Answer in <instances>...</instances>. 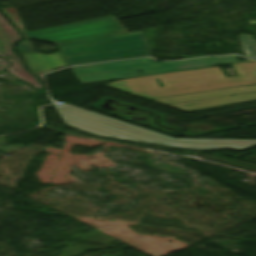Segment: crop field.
<instances>
[{
	"mask_svg": "<svg viewBox=\"0 0 256 256\" xmlns=\"http://www.w3.org/2000/svg\"><path fill=\"white\" fill-rule=\"evenodd\" d=\"M238 76L226 78L218 67L135 78L151 97H163L220 87L256 83V62L231 65ZM159 79L162 83H157ZM158 84L165 85L159 87Z\"/></svg>",
	"mask_w": 256,
	"mask_h": 256,
	"instance_id": "crop-field-1",
	"label": "crop field"
},
{
	"mask_svg": "<svg viewBox=\"0 0 256 256\" xmlns=\"http://www.w3.org/2000/svg\"><path fill=\"white\" fill-rule=\"evenodd\" d=\"M66 124L90 133L113 138L180 147L186 149L231 148L241 150L249 147L170 142L173 138L118 121L67 103L54 105Z\"/></svg>",
	"mask_w": 256,
	"mask_h": 256,
	"instance_id": "crop-field-2",
	"label": "crop field"
},
{
	"mask_svg": "<svg viewBox=\"0 0 256 256\" xmlns=\"http://www.w3.org/2000/svg\"><path fill=\"white\" fill-rule=\"evenodd\" d=\"M217 62L228 64L238 61L235 56L160 63H154L149 58H146L140 60L76 67L71 68V70L82 84H86L173 71L210 67L214 66ZM138 70H142L144 74L141 75L137 73Z\"/></svg>",
	"mask_w": 256,
	"mask_h": 256,
	"instance_id": "crop-field-3",
	"label": "crop field"
},
{
	"mask_svg": "<svg viewBox=\"0 0 256 256\" xmlns=\"http://www.w3.org/2000/svg\"><path fill=\"white\" fill-rule=\"evenodd\" d=\"M67 65L151 55L142 31L57 48Z\"/></svg>",
	"mask_w": 256,
	"mask_h": 256,
	"instance_id": "crop-field-4",
	"label": "crop field"
},
{
	"mask_svg": "<svg viewBox=\"0 0 256 256\" xmlns=\"http://www.w3.org/2000/svg\"><path fill=\"white\" fill-rule=\"evenodd\" d=\"M127 32L113 16H110L25 34L28 38L51 42L59 47Z\"/></svg>",
	"mask_w": 256,
	"mask_h": 256,
	"instance_id": "crop-field-5",
	"label": "crop field"
},
{
	"mask_svg": "<svg viewBox=\"0 0 256 256\" xmlns=\"http://www.w3.org/2000/svg\"><path fill=\"white\" fill-rule=\"evenodd\" d=\"M236 94L235 96H230ZM256 99V85L151 100L184 111Z\"/></svg>",
	"mask_w": 256,
	"mask_h": 256,
	"instance_id": "crop-field-6",
	"label": "crop field"
},
{
	"mask_svg": "<svg viewBox=\"0 0 256 256\" xmlns=\"http://www.w3.org/2000/svg\"><path fill=\"white\" fill-rule=\"evenodd\" d=\"M18 39H20L19 34L0 15V56L6 58L12 63L7 70L35 88L40 89V84L32 75L24 70L18 57L13 54V50L11 51L12 45Z\"/></svg>",
	"mask_w": 256,
	"mask_h": 256,
	"instance_id": "crop-field-7",
	"label": "crop field"
},
{
	"mask_svg": "<svg viewBox=\"0 0 256 256\" xmlns=\"http://www.w3.org/2000/svg\"><path fill=\"white\" fill-rule=\"evenodd\" d=\"M16 49L21 51L28 69L37 75L66 66L58 51L48 55L34 52L27 38L22 43H18Z\"/></svg>",
	"mask_w": 256,
	"mask_h": 256,
	"instance_id": "crop-field-8",
	"label": "crop field"
},
{
	"mask_svg": "<svg viewBox=\"0 0 256 256\" xmlns=\"http://www.w3.org/2000/svg\"><path fill=\"white\" fill-rule=\"evenodd\" d=\"M106 86L123 90L137 96L150 100L151 98L136 84L134 78L118 81L115 83L107 84Z\"/></svg>",
	"mask_w": 256,
	"mask_h": 256,
	"instance_id": "crop-field-9",
	"label": "crop field"
},
{
	"mask_svg": "<svg viewBox=\"0 0 256 256\" xmlns=\"http://www.w3.org/2000/svg\"><path fill=\"white\" fill-rule=\"evenodd\" d=\"M173 141L228 144V145H244V146H255L256 145V140L174 139Z\"/></svg>",
	"mask_w": 256,
	"mask_h": 256,
	"instance_id": "crop-field-10",
	"label": "crop field"
},
{
	"mask_svg": "<svg viewBox=\"0 0 256 256\" xmlns=\"http://www.w3.org/2000/svg\"><path fill=\"white\" fill-rule=\"evenodd\" d=\"M247 58L256 59V41L252 39L250 34L238 36Z\"/></svg>",
	"mask_w": 256,
	"mask_h": 256,
	"instance_id": "crop-field-11",
	"label": "crop field"
},
{
	"mask_svg": "<svg viewBox=\"0 0 256 256\" xmlns=\"http://www.w3.org/2000/svg\"><path fill=\"white\" fill-rule=\"evenodd\" d=\"M0 11H2L13 23L16 24L17 27L21 30L22 34L25 36V34L23 33L25 31L22 27L21 21L17 15L15 8L0 9Z\"/></svg>",
	"mask_w": 256,
	"mask_h": 256,
	"instance_id": "crop-field-12",
	"label": "crop field"
}]
</instances>
